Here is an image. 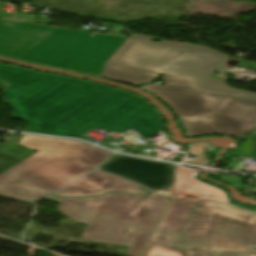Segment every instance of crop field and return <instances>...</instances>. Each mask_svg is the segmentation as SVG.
Masks as SVG:
<instances>
[{
	"mask_svg": "<svg viewBox=\"0 0 256 256\" xmlns=\"http://www.w3.org/2000/svg\"><path fill=\"white\" fill-rule=\"evenodd\" d=\"M0 79L11 84L5 101L13 117L29 123L28 132L79 138L98 127L148 138L162 127L146 101L122 90L3 64Z\"/></svg>",
	"mask_w": 256,
	"mask_h": 256,
	"instance_id": "1",
	"label": "crop field"
},
{
	"mask_svg": "<svg viewBox=\"0 0 256 256\" xmlns=\"http://www.w3.org/2000/svg\"><path fill=\"white\" fill-rule=\"evenodd\" d=\"M0 20V55L100 76L125 38Z\"/></svg>",
	"mask_w": 256,
	"mask_h": 256,
	"instance_id": "2",
	"label": "crop field"
},
{
	"mask_svg": "<svg viewBox=\"0 0 256 256\" xmlns=\"http://www.w3.org/2000/svg\"><path fill=\"white\" fill-rule=\"evenodd\" d=\"M60 212L89 224L82 239L130 246L126 255L141 256L170 199L108 194L93 199L56 198Z\"/></svg>",
	"mask_w": 256,
	"mask_h": 256,
	"instance_id": "3",
	"label": "crop field"
},
{
	"mask_svg": "<svg viewBox=\"0 0 256 256\" xmlns=\"http://www.w3.org/2000/svg\"><path fill=\"white\" fill-rule=\"evenodd\" d=\"M19 145L39 152L0 175V195L26 201L68 186L111 155L76 142L27 135Z\"/></svg>",
	"mask_w": 256,
	"mask_h": 256,
	"instance_id": "4",
	"label": "crop field"
},
{
	"mask_svg": "<svg viewBox=\"0 0 256 256\" xmlns=\"http://www.w3.org/2000/svg\"><path fill=\"white\" fill-rule=\"evenodd\" d=\"M152 40L154 38L131 34L108 61L165 74L167 85L227 94H256L229 87L226 81L210 77L229 56L202 46Z\"/></svg>",
	"mask_w": 256,
	"mask_h": 256,
	"instance_id": "5",
	"label": "crop field"
},
{
	"mask_svg": "<svg viewBox=\"0 0 256 256\" xmlns=\"http://www.w3.org/2000/svg\"><path fill=\"white\" fill-rule=\"evenodd\" d=\"M141 88L172 108L185 137L224 133L244 138L256 128V96L204 93L157 84Z\"/></svg>",
	"mask_w": 256,
	"mask_h": 256,
	"instance_id": "6",
	"label": "crop field"
},
{
	"mask_svg": "<svg viewBox=\"0 0 256 256\" xmlns=\"http://www.w3.org/2000/svg\"><path fill=\"white\" fill-rule=\"evenodd\" d=\"M256 246V215L201 198L177 247L191 256H245Z\"/></svg>",
	"mask_w": 256,
	"mask_h": 256,
	"instance_id": "7",
	"label": "crop field"
},
{
	"mask_svg": "<svg viewBox=\"0 0 256 256\" xmlns=\"http://www.w3.org/2000/svg\"><path fill=\"white\" fill-rule=\"evenodd\" d=\"M99 170L137 182L151 190L166 189L173 181L172 165L119 155Z\"/></svg>",
	"mask_w": 256,
	"mask_h": 256,
	"instance_id": "8",
	"label": "crop field"
},
{
	"mask_svg": "<svg viewBox=\"0 0 256 256\" xmlns=\"http://www.w3.org/2000/svg\"><path fill=\"white\" fill-rule=\"evenodd\" d=\"M139 188L140 186L135 183L95 170L54 196L89 197L112 191L148 195L146 192L138 191Z\"/></svg>",
	"mask_w": 256,
	"mask_h": 256,
	"instance_id": "9",
	"label": "crop field"
},
{
	"mask_svg": "<svg viewBox=\"0 0 256 256\" xmlns=\"http://www.w3.org/2000/svg\"><path fill=\"white\" fill-rule=\"evenodd\" d=\"M196 201L172 198L151 240L173 247Z\"/></svg>",
	"mask_w": 256,
	"mask_h": 256,
	"instance_id": "10",
	"label": "crop field"
},
{
	"mask_svg": "<svg viewBox=\"0 0 256 256\" xmlns=\"http://www.w3.org/2000/svg\"><path fill=\"white\" fill-rule=\"evenodd\" d=\"M101 76L136 86H138L140 83L150 82L158 77V75L129 69L109 63L106 64Z\"/></svg>",
	"mask_w": 256,
	"mask_h": 256,
	"instance_id": "11",
	"label": "crop field"
},
{
	"mask_svg": "<svg viewBox=\"0 0 256 256\" xmlns=\"http://www.w3.org/2000/svg\"><path fill=\"white\" fill-rule=\"evenodd\" d=\"M35 153L37 151L4 142V144L0 145V173L12 168Z\"/></svg>",
	"mask_w": 256,
	"mask_h": 256,
	"instance_id": "12",
	"label": "crop field"
},
{
	"mask_svg": "<svg viewBox=\"0 0 256 256\" xmlns=\"http://www.w3.org/2000/svg\"><path fill=\"white\" fill-rule=\"evenodd\" d=\"M194 173L192 170H188L181 167H174V177L175 181L170 187L168 191H156V193L165 195V196H171V197H177L179 192L183 189L186 182L189 180L191 175ZM188 183V182H187Z\"/></svg>",
	"mask_w": 256,
	"mask_h": 256,
	"instance_id": "13",
	"label": "crop field"
},
{
	"mask_svg": "<svg viewBox=\"0 0 256 256\" xmlns=\"http://www.w3.org/2000/svg\"><path fill=\"white\" fill-rule=\"evenodd\" d=\"M184 191L186 193H191L196 196L208 197L226 202V199L221 191L210 186L204 185L193 179H191L190 183L188 184Z\"/></svg>",
	"mask_w": 256,
	"mask_h": 256,
	"instance_id": "14",
	"label": "crop field"
},
{
	"mask_svg": "<svg viewBox=\"0 0 256 256\" xmlns=\"http://www.w3.org/2000/svg\"><path fill=\"white\" fill-rule=\"evenodd\" d=\"M142 256H188V253L149 241Z\"/></svg>",
	"mask_w": 256,
	"mask_h": 256,
	"instance_id": "15",
	"label": "crop field"
},
{
	"mask_svg": "<svg viewBox=\"0 0 256 256\" xmlns=\"http://www.w3.org/2000/svg\"><path fill=\"white\" fill-rule=\"evenodd\" d=\"M192 150L190 151V154L192 155H196L198 156L197 158L190 160L186 163L189 164H196V165H202V166H206L209 164L208 160L204 157L203 155V147H206V144H197V145H193L191 146Z\"/></svg>",
	"mask_w": 256,
	"mask_h": 256,
	"instance_id": "16",
	"label": "crop field"
},
{
	"mask_svg": "<svg viewBox=\"0 0 256 256\" xmlns=\"http://www.w3.org/2000/svg\"><path fill=\"white\" fill-rule=\"evenodd\" d=\"M252 146H253V140L250 139V140L244 141L243 150L239 153V155L245 156V157H250V158H255V157L248 156Z\"/></svg>",
	"mask_w": 256,
	"mask_h": 256,
	"instance_id": "17",
	"label": "crop field"
},
{
	"mask_svg": "<svg viewBox=\"0 0 256 256\" xmlns=\"http://www.w3.org/2000/svg\"><path fill=\"white\" fill-rule=\"evenodd\" d=\"M250 138H252L254 140V146H253V149H252L250 155L256 157V131L253 133L252 136H250Z\"/></svg>",
	"mask_w": 256,
	"mask_h": 256,
	"instance_id": "18",
	"label": "crop field"
},
{
	"mask_svg": "<svg viewBox=\"0 0 256 256\" xmlns=\"http://www.w3.org/2000/svg\"><path fill=\"white\" fill-rule=\"evenodd\" d=\"M178 197H180V198H187V199H194V200H198V199H199L198 197L186 195V194H184L182 191L180 192V194L178 195Z\"/></svg>",
	"mask_w": 256,
	"mask_h": 256,
	"instance_id": "19",
	"label": "crop field"
},
{
	"mask_svg": "<svg viewBox=\"0 0 256 256\" xmlns=\"http://www.w3.org/2000/svg\"><path fill=\"white\" fill-rule=\"evenodd\" d=\"M237 66H239V67H244V68H248V69L256 70V67L249 66V65H245V64H241V63H239Z\"/></svg>",
	"mask_w": 256,
	"mask_h": 256,
	"instance_id": "20",
	"label": "crop field"
},
{
	"mask_svg": "<svg viewBox=\"0 0 256 256\" xmlns=\"http://www.w3.org/2000/svg\"><path fill=\"white\" fill-rule=\"evenodd\" d=\"M240 62L256 66V62L253 61L240 60Z\"/></svg>",
	"mask_w": 256,
	"mask_h": 256,
	"instance_id": "21",
	"label": "crop field"
},
{
	"mask_svg": "<svg viewBox=\"0 0 256 256\" xmlns=\"http://www.w3.org/2000/svg\"><path fill=\"white\" fill-rule=\"evenodd\" d=\"M190 179H191V178H190ZM189 181H190V180H189ZM189 181H188V183H189ZM188 183H187V184H188ZM187 184L185 185V187L187 186ZM185 187H184V189H185ZM184 189H183V190H184ZM183 192H184V191H183Z\"/></svg>",
	"mask_w": 256,
	"mask_h": 256,
	"instance_id": "22",
	"label": "crop field"
},
{
	"mask_svg": "<svg viewBox=\"0 0 256 256\" xmlns=\"http://www.w3.org/2000/svg\"><path fill=\"white\" fill-rule=\"evenodd\" d=\"M253 253V252H252ZM252 255L256 256V253H253Z\"/></svg>",
	"mask_w": 256,
	"mask_h": 256,
	"instance_id": "23",
	"label": "crop field"
}]
</instances>
